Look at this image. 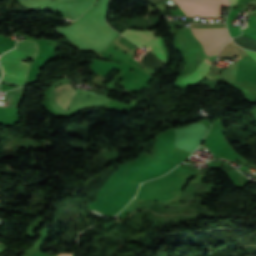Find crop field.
Instances as JSON below:
<instances>
[{
  "instance_id": "412701ff",
  "label": "crop field",
  "mask_w": 256,
  "mask_h": 256,
  "mask_svg": "<svg viewBox=\"0 0 256 256\" xmlns=\"http://www.w3.org/2000/svg\"><path fill=\"white\" fill-rule=\"evenodd\" d=\"M196 39H214V38H229L227 29H195L191 28ZM230 39H214V40H198L206 54L217 53L222 45L228 42ZM216 55V54H212Z\"/></svg>"
},
{
  "instance_id": "3316defc",
  "label": "crop field",
  "mask_w": 256,
  "mask_h": 256,
  "mask_svg": "<svg viewBox=\"0 0 256 256\" xmlns=\"http://www.w3.org/2000/svg\"><path fill=\"white\" fill-rule=\"evenodd\" d=\"M230 1H233V0H230Z\"/></svg>"
},
{
  "instance_id": "28ad6ade",
  "label": "crop field",
  "mask_w": 256,
  "mask_h": 256,
  "mask_svg": "<svg viewBox=\"0 0 256 256\" xmlns=\"http://www.w3.org/2000/svg\"><path fill=\"white\" fill-rule=\"evenodd\" d=\"M55 256H57V255H55Z\"/></svg>"
},
{
  "instance_id": "ac0d7876",
  "label": "crop field",
  "mask_w": 256,
  "mask_h": 256,
  "mask_svg": "<svg viewBox=\"0 0 256 256\" xmlns=\"http://www.w3.org/2000/svg\"><path fill=\"white\" fill-rule=\"evenodd\" d=\"M186 15H221V6H227V0H173Z\"/></svg>"
},
{
  "instance_id": "d8731c3e",
  "label": "crop field",
  "mask_w": 256,
  "mask_h": 256,
  "mask_svg": "<svg viewBox=\"0 0 256 256\" xmlns=\"http://www.w3.org/2000/svg\"><path fill=\"white\" fill-rule=\"evenodd\" d=\"M146 1H148L150 4H155V3H157V2H160V1H163V0H146Z\"/></svg>"
},
{
  "instance_id": "e52e79f7",
  "label": "crop field",
  "mask_w": 256,
  "mask_h": 256,
  "mask_svg": "<svg viewBox=\"0 0 256 256\" xmlns=\"http://www.w3.org/2000/svg\"><path fill=\"white\" fill-rule=\"evenodd\" d=\"M251 57H253L256 60V53L255 52H251L248 50H245Z\"/></svg>"
},
{
  "instance_id": "f4fd0767",
  "label": "crop field",
  "mask_w": 256,
  "mask_h": 256,
  "mask_svg": "<svg viewBox=\"0 0 256 256\" xmlns=\"http://www.w3.org/2000/svg\"><path fill=\"white\" fill-rule=\"evenodd\" d=\"M205 61L211 63L210 60L206 59ZM211 67L210 64L206 63V62H202L198 68L195 70L194 73L189 74V75H185V76H177L173 87L176 88H182V87H187L190 86L191 84L201 80V78L203 77V75L208 71V69Z\"/></svg>"
},
{
  "instance_id": "dd49c442",
  "label": "crop field",
  "mask_w": 256,
  "mask_h": 256,
  "mask_svg": "<svg viewBox=\"0 0 256 256\" xmlns=\"http://www.w3.org/2000/svg\"><path fill=\"white\" fill-rule=\"evenodd\" d=\"M74 93L75 91L71 85L63 84L55 88L53 99L58 107H60L62 110H65L69 99Z\"/></svg>"
},
{
  "instance_id": "5a996713",
  "label": "crop field",
  "mask_w": 256,
  "mask_h": 256,
  "mask_svg": "<svg viewBox=\"0 0 256 256\" xmlns=\"http://www.w3.org/2000/svg\"><path fill=\"white\" fill-rule=\"evenodd\" d=\"M1 249H3V248L0 247V250H1Z\"/></svg>"
},
{
  "instance_id": "8a807250",
  "label": "crop field",
  "mask_w": 256,
  "mask_h": 256,
  "mask_svg": "<svg viewBox=\"0 0 256 256\" xmlns=\"http://www.w3.org/2000/svg\"><path fill=\"white\" fill-rule=\"evenodd\" d=\"M36 45L27 40L19 41L17 47L1 56L3 78L1 81L22 85L25 83L27 65L21 61L34 58Z\"/></svg>"
},
{
  "instance_id": "34b2d1b8",
  "label": "crop field",
  "mask_w": 256,
  "mask_h": 256,
  "mask_svg": "<svg viewBox=\"0 0 256 256\" xmlns=\"http://www.w3.org/2000/svg\"><path fill=\"white\" fill-rule=\"evenodd\" d=\"M154 31H137V30H131L127 29L123 33L124 36H126L128 39L134 41L139 46L143 47L146 46L150 52L164 60L165 62L168 61V50L164 44V41L162 38L154 36ZM154 38L152 39V37Z\"/></svg>"
}]
</instances>
